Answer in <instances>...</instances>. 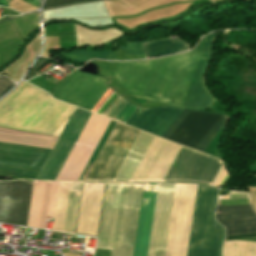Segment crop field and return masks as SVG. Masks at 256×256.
<instances>
[{
	"instance_id": "obj_24",
	"label": "crop field",
	"mask_w": 256,
	"mask_h": 256,
	"mask_svg": "<svg viewBox=\"0 0 256 256\" xmlns=\"http://www.w3.org/2000/svg\"><path fill=\"white\" fill-rule=\"evenodd\" d=\"M81 1H87V0H46L43 9L48 7L68 4V3L81 2Z\"/></svg>"
},
{
	"instance_id": "obj_23",
	"label": "crop field",
	"mask_w": 256,
	"mask_h": 256,
	"mask_svg": "<svg viewBox=\"0 0 256 256\" xmlns=\"http://www.w3.org/2000/svg\"><path fill=\"white\" fill-rule=\"evenodd\" d=\"M121 50L127 53L135 54L142 59L145 58L143 49L140 44L128 45V46L122 47Z\"/></svg>"
},
{
	"instance_id": "obj_14",
	"label": "crop field",
	"mask_w": 256,
	"mask_h": 256,
	"mask_svg": "<svg viewBox=\"0 0 256 256\" xmlns=\"http://www.w3.org/2000/svg\"><path fill=\"white\" fill-rule=\"evenodd\" d=\"M216 220L222 223L227 236L255 233L256 212L251 205L218 206Z\"/></svg>"
},
{
	"instance_id": "obj_27",
	"label": "crop field",
	"mask_w": 256,
	"mask_h": 256,
	"mask_svg": "<svg viewBox=\"0 0 256 256\" xmlns=\"http://www.w3.org/2000/svg\"><path fill=\"white\" fill-rule=\"evenodd\" d=\"M256 234H253V235H242V236H232V237H227L226 240H229V239H237V238H246V237H255Z\"/></svg>"
},
{
	"instance_id": "obj_22",
	"label": "crop field",
	"mask_w": 256,
	"mask_h": 256,
	"mask_svg": "<svg viewBox=\"0 0 256 256\" xmlns=\"http://www.w3.org/2000/svg\"><path fill=\"white\" fill-rule=\"evenodd\" d=\"M64 56L87 62L90 59L98 58V59H106V60H116L115 55L110 50L102 51V52H92V51H76L68 54H64Z\"/></svg>"
},
{
	"instance_id": "obj_19",
	"label": "crop field",
	"mask_w": 256,
	"mask_h": 256,
	"mask_svg": "<svg viewBox=\"0 0 256 256\" xmlns=\"http://www.w3.org/2000/svg\"><path fill=\"white\" fill-rule=\"evenodd\" d=\"M148 43H151V42H148ZM144 44H147V43H144ZM143 48L147 58H149V57H158V56L173 54L177 52H182L192 47L189 46L184 41L180 40L179 38H174V39H168L160 42L147 44Z\"/></svg>"
},
{
	"instance_id": "obj_2",
	"label": "crop field",
	"mask_w": 256,
	"mask_h": 256,
	"mask_svg": "<svg viewBox=\"0 0 256 256\" xmlns=\"http://www.w3.org/2000/svg\"><path fill=\"white\" fill-rule=\"evenodd\" d=\"M58 137L0 127V140L52 149ZM0 141V174L36 179L51 150Z\"/></svg>"
},
{
	"instance_id": "obj_21",
	"label": "crop field",
	"mask_w": 256,
	"mask_h": 256,
	"mask_svg": "<svg viewBox=\"0 0 256 256\" xmlns=\"http://www.w3.org/2000/svg\"><path fill=\"white\" fill-rule=\"evenodd\" d=\"M120 99H121V97L118 99V101ZM118 101L114 104V106L111 108V110L107 113L106 117H109L114 120H118L120 122L125 123L126 120L131 116V114L136 110L137 107L133 106L131 103H129L128 101L123 99L122 102L117 107V109L112 114L113 110L116 108L115 105L118 103Z\"/></svg>"
},
{
	"instance_id": "obj_5",
	"label": "crop field",
	"mask_w": 256,
	"mask_h": 256,
	"mask_svg": "<svg viewBox=\"0 0 256 256\" xmlns=\"http://www.w3.org/2000/svg\"><path fill=\"white\" fill-rule=\"evenodd\" d=\"M142 187L122 183L111 256H132Z\"/></svg>"
},
{
	"instance_id": "obj_4",
	"label": "crop field",
	"mask_w": 256,
	"mask_h": 256,
	"mask_svg": "<svg viewBox=\"0 0 256 256\" xmlns=\"http://www.w3.org/2000/svg\"><path fill=\"white\" fill-rule=\"evenodd\" d=\"M227 119L210 112L184 110L163 138L204 152Z\"/></svg>"
},
{
	"instance_id": "obj_8",
	"label": "crop field",
	"mask_w": 256,
	"mask_h": 256,
	"mask_svg": "<svg viewBox=\"0 0 256 256\" xmlns=\"http://www.w3.org/2000/svg\"><path fill=\"white\" fill-rule=\"evenodd\" d=\"M221 163L219 159L182 146L164 182H195L211 185Z\"/></svg>"
},
{
	"instance_id": "obj_13",
	"label": "crop field",
	"mask_w": 256,
	"mask_h": 256,
	"mask_svg": "<svg viewBox=\"0 0 256 256\" xmlns=\"http://www.w3.org/2000/svg\"><path fill=\"white\" fill-rule=\"evenodd\" d=\"M182 111L176 107H138L126 124L162 137Z\"/></svg>"
},
{
	"instance_id": "obj_12",
	"label": "crop field",
	"mask_w": 256,
	"mask_h": 256,
	"mask_svg": "<svg viewBox=\"0 0 256 256\" xmlns=\"http://www.w3.org/2000/svg\"><path fill=\"white\" fill-rule=\"evenodd\" d=\"M176 184H159L148 256H165Z\"/></svg>"
},
{
	"instance_id": "obj_28",
	"label": "crop field",
	"mask_w": 256,
	"mask_h": 256,
	"mask_svg": "<svg viewBox=\"0 0 256 256\" xmlns=\"http://www.w3.org/2000/svg\"><path fill=\"white\" fill-rule=\"evenodd\" d=\"M67 121H68V119H67V120L64 122V124L57 130V132H56L54 135H56V136H59V135H60V133L62 132V130H63L65 124L67 123Z\"/></svg>"
},
{
	"instance_id": "obj_25",
	"label": "crop field",
	"mask_w": 256,
	"mask_h": 256,
	"mask_svg": "<svg viewBox=\"0 0 256 256\" xmlns=\"http://www.w3.org/2000/svg\"><path fill=\"white\" fill-rule=\"evenodd\" d=\"M14 83L6 77H0V97L13 87Z\"/></svg>"
},
{
	"instance_id": "obj_18",
	"label": "crop field",
	"mask_w": 256,
	"mask_h": 256,
	"mask_svg": "<svg viewBox=\"0 0 256 256\" xmlns=\"http://www.w3.org/2000/svg\"><path fill=\"white\" fill-rule=\"evenodd\" d=\"M153 138L154 135L140 131L115 181H130Z\"/></svg>"
},
{
	"instance_id": "obj_29",
	"label": "crop field",
	"mask_w": 256,
	"mask_h": 256,
	"mask_svg": "<svg viewBox=\"0 0 256 256\" xmlns=\"http://www.w3.org/2000/svg\"><path fill=\"white\" fill-rule=\"evenodd\" d=\"M83 187V186H82ZM82 193V192H81ZM105 193V192H104ZM81 199V198H80ZM104 200V198H103ZM102 207H103V204H102ZM101 213H102V210H101ZM100 220H101V216H100ZM99 227H100V222H99ZM98 234H99V228H98ZM98 234H97V237H98Z\"/></svg>"
},
{
	"instance_id": "obj_9",
	"label": "crop field",
	"mask_w": 256,
	"mask_h": 256,
	"mask_svg": "<svg viewBox=\"0 0 256 256\" xmlns=\"http://www.w3.org/2000/svg\"><path fill=\"white\" fill-rule=\"evenodd\" d=\"M104 82L102 77L74 71L55 86L52 96L91 111L109 87Z\"/></svg>"
},
{
	"instance_id": "obj_16",
	"label": "crop field",
	"mask_w": 256,
	"mask_h": 256,
	"mask_svg": "<svg viewBox=\"0 0 256 256\" xmlns=\"http://www.w3.org/2000/svg\"><path fill=\"white\" fill-rule=\"evenodd\" d=\"M158 184H145L134 256H147Z\"/></svg>"
},
{
	"instance_id": "obj_26",
	"label": "crop field",
	"mask_w": 256,
	"mask_h": 256,
	"mask_svg": "<svg viewBox=\"0 0 256 256\" xmlns=\"http://www.w3.org/2000/svg\"><path fill=\"white\" fill-rule=\"evenodd\" d=\"M47 61L45 60H39L38 62H36L35 66L32 68V70L28 73V75L25 77V80L30 79L33 74L38 70V68L43 65L44 63H46ZM41 68V67H40ZM39 68V69H40Z\"/></svg>"
},
{
	"instance_id": "obj_10",
	"label": "crop field",
	"mask_w": 256,
	"mask_h": 256,
	"mask_svg": "<svg viewBox=\"0 0 256 256\" xmlns=\"http://www.w3.org/2000/svg\"><path fill=\"white\" fill-rule=\"evenodd\" d=\"M33 181L0 182V222L26 226Z\"/></svg>"
},
{
	"instance_id": "obj_15",
	"label": "crop field",
	"mask_w": 256,
	"mask_h": 256,
	"mask_svg": "<svg viewBox=\"0 0 256 256\" xmlns=\"http://www.w3.org/2000/svg\"><path fill=\"white\" fill-rule=\"evenodd\" d=\"M51 184L52 182H46V185H45V182L34 181L27 226L38 228L42 198H43V192H44V185H45L42 212H41L40 225H39V228L44 229ZM58 184L59 182H53L47 217H53Z\"/></svg>"
},
{
	"instance_id": "obj_1",
	"label": "crop field",
	"mask_w": 256,
	"mask_h": 256,
	"mask_svg": "<svg viewBox=\"0 0 256 256\" xmlns=\"http://www.w3.org/2000/svg\"><path fill=\"white\" fill-rule=\"evenodd\" d=\"M214 33L185 54L141 62H120L114 72L134 96L191 110L209 107L216 100L204 83L211 61Z\"/></svg>"
},
{
	"instance_id": "obj_11",
	"label": "crop field",
	"mask_w": 256,
	"mask_h": 256,
	"mask_svg": "<svg viewBox=\"0 0 256 256\" xmlns=\"http://www.w3.org/2000/svg\"><path fill=\"white\" fill-rule=\"evenodd\" d=\"M92 114V113H91ZM90 112L77 108L71 115L54 149L44 164L37 179L55 180L72 146L86 123ZM91 116V115H90ZM86 125V124H85ZM80 136V135H79Z\"/></svg>"
},
{
	"instance_id": "obj_20",
	"label": "crop field",
	"mask_w": 256,
	"mask_h": 256,
	"mask_svg": "<svg viewBox=\"0 0 256 256\" xmlns=\"http://www.w3.org/2000/svg\"><path fill=\"white\" fill-rule=\"evenodd\" d=\"M82 183L71 182L63 231L74 233Z\"/></svg>"
},
{
	"instance_id": "obj_3",
	"label": "crop field",
	"mask_w": 256,
	"mask_h": 256,
	"mask_svg": "<svg viewBox=\"0 0 256 256\" xmlns=\"http://www.w3.org/2000/svg\"><path fill=\"white\" fill-rule=\"evenodd\" d=\"M216 188L199 186L188 256H219L223 228L213 220Z\"/></svg>"
},
{
	"instance_id": "obj_6",
	"label": "crop field",
	"mask_w": 256,
	"mask_h": 256,
	"mask_svg": "<svg viewBox=\"0 0 256 256\" xmlns=\"http://www.w3.org/2000/svg\"><path fill=\"white\" fill-rule=\"evenodd\" d=\"M138 133L117 122L86 180L113 181Z\"/></svg>"
},
{
	"instance_id": "obj_17",
	"label": "crop field",
	"mask_w": 256,
	"mask_h": 256,
	"mask_svg": "<svg viewBox=\"0 0 256 256\" xmlns=\"http://www.w3.org/2000/svg\"><path fill=\"white\" fill-rule=\"evenodd\" d=\"M121 183H107L99 240L96 249L111 250Z\"/></svg>"
},
{
	"instance_id": "obj_7",
	"label": "crop field",
	"mask_w": 256,
	"mask_h": 256,
	"mask_svg": "<svg viewBox=\"0 0 256 256\" xmlns=\"http://www.w3.org/2000/svg\"><path fill=\"white\" fill-rule=\"evenodd\" d=\"M110 119L91 114L56 180H78Z\"/></svg>"
}]
</instances>
